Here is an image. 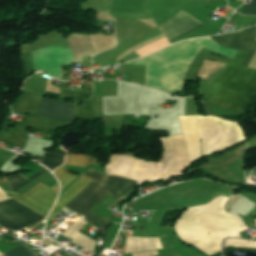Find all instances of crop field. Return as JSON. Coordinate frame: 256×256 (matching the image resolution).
Masks as SVG:
<instances>
[{"mask_svg":"<svg viewBox=\"0 0 256 256\" xmlns=\"http://www.w3.org/2000/svg\"><path fill=\"white\" fill-rule=\"evenodd\" d=\"M58 191V183L51 188L40 183L22 196L15 195L13 198L25 206L47 216L56 200ZM13 198L10 197L0 202V225L4 228L18 232L46 218L21 205Z\"/></svg>","mask_w":256,"mask_h":256,"instance_id":"dd49c442","label":"crop field"},{"mask_svg":"<svg viewBox=\"0 0 256 256\" xmlns=\"http://www.w3.org/2000/svg\"><path fill=\"white\" fill-rule=\"evenodd\" d=\"M242 14L255 15L256 16V0H253L250 5H247Z\"/></svg>","mask_w":256,"mask_h":256,"instance_id":"733c2abd","label":"crop field"},{"mask_svg":"<svg viewBox=\"0 0 256 256\" xmlns=\"http://www.w3.org/2000/svg\"><path fill=\"white\" fill-rule=\"evenodd\" d=\"M252 27L238 31L229 33L226 35H220L216 37V41H218L221 45L231 47L237 50H240L244 41L246 40L248 34L250 33ZM256 37V27H254L253 31L249 35L248 39L244 43L241 48L242 51L249 52L244 61L242 62V66L248 67L255 51H256V41L254 40Z\"/></svg>","mask_w":256,"mask_h":256,"instance_id":"d8731c3e","label":"crop field"},{"mask_svg":"<svg viewBox=\"0 0 256 256\" xmlns=\"http://www.w3.org/2000/svg\"><path fill=\"white\" fill-rule=\"evenodd\" d=\"M227 246L256 248V243L235 240V239H227L225 242V247Z\"/></svg>","mask_w":256,"mask_h":256,"instance_id":"d9b57169","label":"crop field"},{"mask_svg":"<svg viewBox=\"0 0 256 256\" xmlns=\"http://www.w3.org/2000/svg\"><path fill=\"white\" fill-rule=\"evenodd\" d=\"M202 25L204 24H202L200 21H198L194 17L180 10L166 23L158 26V28L163 31L165 36L171 42L174 39L182 36L183 34L197 27H200Z\"/></svg>","mask_w":256,"mask_h":256,"instance_id":"5a996713","label":"crop field"},{"mask_svg":"<svg viewBox=\"0 0 256 256\" xmlns=\"http://www.w3.org/2000/svg\"><path fill=\"white\" fill-rule=\"evenodd\" d=\"M54 174L57 176V178L60 181L62 189L66 187L72 180H74L77 176L71 174L67 168L64 166L56 169L54 171Z\"/></svg>","mask_w":256,"mask_h":256,"instance_id":"cbeb9de0","label":"crop field"},{"mask_svg":"<svg viewBox=\"0 0 256 256\" xmlns=\"http://www.w3.org/2000/svg\"><path fill=\"white\" fill-rule=\"evenodd\" d=\"M189 152L190 166L209 153L228 149L245 140L240 127L232 122L202 116H180Z\"/></svg>","mask_w":256,"mask_h":256,"instance_id":"412701ff","label":"crop field"},{"mask_svg":"<svg viewBox=\"0 0 256 256\" xmlns=\"http://www.w3.org/2000/svg\"><path fill=\"white\" fill-rule=\"evenodd\" d=\"M5 256H33L35 253L28 250L24 244V242L14 248H11L5 252H3Z\"/></svg>","mask_w":256,"mask_h":256,"instance_id":"5142ce71","label":"crop field"},{"mask_svg":"<svg viewBox=\"0 0 256 256\" xmlns=\"http://www.w3.org/2000/svg\"><path fill=\"white\" fill-rule=\"evenodd\" d=\"M203 47L231 58L237 52L207 37L180 42L127 64L146 66V86L176 92L181 89L188 67Z\"/></svg>","mask_w":256,"mask_h":256,"instance_id":"34b2d1b8","label":"crop field"},{"mask_svg":"<svg viewBox=\"0 0 256 256\" xmlns=\"http://www.w3.org/2000/svg\"><path fill=\"white\" fill-rule=\"evenodd\" d=\"M247 55L239 51L232 63L210 86L204 99L220 107L245 112L256 87V69L239 66Z\"/></svg>","mask_w":256,"mask_h":256,"instance_id":"f4fd0767","label":"crop field"},{"mask_svg":"<svg viewBox=\"0 0 256 256\" xmlns=\"http://www.w3.org/2000/svg\"><path fill=\"white\" fill-rule=\"evenodd\" d=\"M1 182H5L4 177H0V183H1Z\"/></svg>","mask_w":256,"mask_h":256,"instance_id":"bc2a9ffb","label":"crop field"},{"mask_svg":"<svg viewBox=\"0 0 256 256\" xmlns=\"http://www.w3.org/2000/svg\"><path fill=\"white\" fill-rule=\"evenodd\" d=\"M63 160V154L44 151L42 164L53 171L57 166L63 164Z\"/></svg>","mask_w":256,"mask_h":256,"instance_id":"d1516ede","label":"crop field"},{"mask_svg":"<svg viewBox=\"0 0 256 256\" xmlns=\"http://www.w3.org/2000/svg\"><path fill=\"white\" fill-rule=\"evenodd\" d=\"M35 70L62 79L61 64H71L73 54L70 49H62L60 46L48 47L33 52Z\"/></svg>","mask_w":256,"mask_h":256,"instance_id":"e52e79f7","label":"crop field"},{"mask_svg":"<svg viewBox=\"0 0 256 256\" xmlns=\"http://www.w3.org/2000/svg\"><path fill=\"white\" fill-rule=\"evenodd\" d=\"M47 169H42L38 173H36L34 176H32L30 179H25L21 174L6 177L7 183L9 186L16 192L22 187H24L26 184L37 178L39 175L44 173Z\"/></svg>","mask_w":256,"mask_h":256,"instance_id":"28ad6ade","label":"crop field"},{"mask_svg":"<svg viewBox=\"0 0 256 256\" xmlns=\"http://www.w3.org/2000/svg\"><path fill=\"white\" fill-rule=\"evenodd\" d=\"M226 199L225 196L217 197L206 205L187 209L175 223L181 239L211 255L221 251L223 238H240L247 228L239 218L223 211Z\"/></svg>","mask_w":256,"mask_h":256,"instance_id":"ac0d7876","label":"crop field"},{"mask_svg":"<svg viewBox=\"0 0 256 256\" xmlns=\"http://www.w3.org/2000/svg\"><path fill=\"white\" fill-rule=\"evenodd\" d=\"M38 116L73 121L71 103L43 98Z\"/></svg>","mask_w":256,"mask_h":256,"instance_id":"3316defc","label":"crop field"},{"mask_svg":"<svg viewBox=\"0 0 256 256\" xmlns=\"http://www.w3.org/2000/svg\"><path fill=\"white\" fill-rule=\"evenodd\" d=\"M94 161H96V160L92 159L91 157H89L87 155L68 154L67 155V161H66L65 164L85 167V166L91 164Z\"/></svg>","mask_w":256,"mask_h":256,"instance_id":"22f410ed","label":"crop field"},{"mask_svg":"<svg viewBox=\"0 0 256 256\" xmlns=\"http://www.w3.org/2000/svg\"><path fill=\"white\" fill-rule=\"evenodd\" d=\"M83 175H88L101 184L107 180V176L91 170L85 172ZM108 177L109 179L105 181L103 186L91 178L81 176L79 180L73 183L71 187L60 196V199L56 203L49 219L60 211L68 202H70L92 180L93 181L69 204H67L65 208L86 216L88 211L107 195L111 194L119 201L137 183V181L114 175H108ZM83 218L84 216H81L68 230L63 233V235L73 239V243L93 251L97 241L78 232L87 224V222L82 220ZM84 220L102 230L108 223V219L91 210Z\"/></svg>","mask_w":256,"mask_h":256,"instance_id":"8a807250","label":"crop field"},{"mask_svg":"<svg viewBox=\"0 0 256 256\" xmlns=\"http://www.w3.org/2000/svg\"><path fill=\"white\" fill-rule=\"evenodd\" d=\"M9 198L5 192L0 188V201Z\"/></svg>","mask_w":256,"mask_h":256,"instance_id":"4a817a6b","label":"crop field"}]
</instances>
